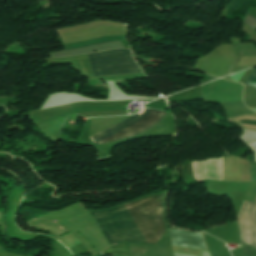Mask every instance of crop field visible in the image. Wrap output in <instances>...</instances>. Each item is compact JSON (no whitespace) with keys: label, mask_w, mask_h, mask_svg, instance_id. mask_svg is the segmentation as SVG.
<instances>
[{"label":"crop field","mask_w":256,"mask_h":256,"mask_svg":"<svg viewBox=\"0 0 256 256\" xmlns=\"http://www.w3.org/2000/svg\"><path fill=\"white\" fill-rule=\"evenodd\" d=\"M166 192L153 194L126 203L147 243H156L168 229ZM125 204L102 211H89L110 244L146 243Z\"/></svg>","instance_id":"crop-field-1"},{"label":"crop field","mask_w":256,"mask_h":256,"mask_svg":"<svg viewBox=\"0 0 256 256\" xmlns=\"http://www.w3.org/2000/svg\"><path fill=\"white\" fill-rule=\"evenodd\" d=\"M151 109H146L145 112L143 113L144 111V108L137 114H141L140 116L139 115H134L114 126H111L93 136H91V139L93 140V142L101 139V138H104L128 125H131L137 121H139L140 119L144 118L150 111ZM167 112H163V111H155V110H151V112L148 114V116L144 119H142L141 121L115 133V134H112L104 139H101L97 142H95V145H98V144H102V143H106V142H110V141H115V140H119V139H122V138H126V137H129V136H132V135H136V134H139V133H142L144 131H146L147 129H149L150 127H152L154 124H156L161 118H163L165 116Z\"/></svg>","instance_id":"crop-field-2"},{"label":"crop field","mask_w":256,"mask_h":256,"mask_svg":"<svg viewBox=\"0 0 256 256\" xmlns=\"http://www.w3.org/2000/svg\"><path fill=\"white\" fill-rule=\"evenodd\" d=\"M94 76L138 73L129 49L88 54Z\"/></svg>","instance_id":"crop-field-3"},{"label":"crop field","mask_w":256,"mask_h":256,"mask_svg":"<svg viewBox=\"0 0 256 256\" xmlns=\"http://www.w3.org/2000/svg\"><path fill=\"white\" fill-rule=\"evenodd\" d=\"M237 220L241 243L256 248V203L244 201Z\"/></svg>","instance_id":"crop-field-4"},{"label":"crop field","mask_w":256,"mask_h":256,"mask_svg":"<svg viewBox=\"0 0 256 256\" xmlns=\"http://www.w3.org/2000/svg\"><path fill=\"white\" fill-rule=\"evenodd\" d=\"M194 177L197 180H223V157L191 162Z\"/></svg>","instance_id":"crop-field-5"},{"label":"crop field","mask_w":256,"mask_h":256,"mask_svg":"<svg viewBox=\"0 0 256 256\" xmlns=\"http://www.w3.org/2000/svg\"><path fill=\"white\" fill-rule=\"evenodd\" d=\"M172 245L205 249L201 233L170 229Z\"/></svg>","instance_id":"crop-field-6"},{"label":"crop field","mask_w":256,"mask_h":256,"mask_svg":"<svg viewBox=\"0 0 256 256\" xmlns=\"http://www.w3.org/2000/svg\"><path fill=\"white\" fill-rule=\"evenodd\" d=\"M115 48H124L121 41L96 44V45H92V46H88V47H84V48H78V49L66 50V51H62V52H58V53H52L50 55H51V57L68 56V55L90 53V52H93L92 50L101 51V50L115 49Z\"/></svg>","instance_id":"crop-field-7"},{"label":"crop field","mask_w":256,"mask_h":256,"mask_svg":"<svg viewBox=\"0 0 256 256\" xmlns=\"http://www.w3.org/2000/svg\"><path fill=\"white\" fill-rule=\"evenodd\" d=\"M244 23H246L247 25L256 30V18L247 15L246 18L244 19Z\"/></svg>","instance_id":"crop-field-8"},{"label":"crop field","mask_w":256,"mask_h":256,"mask_svg":"<svg viewBox=\"0 0 256 256\" xmlns=\"http://www.w3.org/2000/svg\"><path fill=\"white\" fill-rule=\"evenodd\" d=\"M246 145L252 150V152L256 156V141L250 142V143H246ZM255 161H256V158H255Z\"/></svg>","instance_id":"crop-field-9"},{"label":"crop field","mask_w":256,"mask_h":256,"mask_svg":"<svg viewBox=\"0 0 256 256\" xmlns=\"http://www.w3.org/2000/svg\"><path fill=\"white\" fill-rule=\"evenodd\" d=\"M246 81V80H245ZM247 81H256V70H254L251 75L249 76V78L247 79Z\"/></svg>","instance_id":"crop-field-10"}]
</instances>
